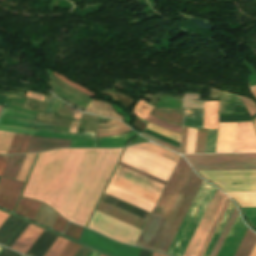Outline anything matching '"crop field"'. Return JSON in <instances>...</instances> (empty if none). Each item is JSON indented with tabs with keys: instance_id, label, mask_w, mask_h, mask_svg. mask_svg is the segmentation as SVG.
I'll return each instance as SVG.
<instances>
[{
	"instance_id": "55",
	"label": "crop field",
	"mask_w": 256,
	"mask_h": 256,
	"mask_svg": "<svg viewBox=\"0 0 256 256\" xmlns=\"http://www.w3.org/2000/svg\"><path fill=\"white\" fill-rule=\"evenodd\" d=\"M29 224L28 223H26V224H24L20 229H19V231L15 234V236L12 238V240L8 243V245H7V247H11L12 246V244L17 240V238L22 234V232L27 228V226H28Z\"/></svg>"
},
{
	"instance_id": "29",
	"label": "crop field",
	"mask_w": 256,
	"mask_h": 256,
	"mask_svg": "<svg viewBox=\"0 0 256 256\" xmlns=\"http://www.w3.org/2000/svg\"><path fill=\"white\" fill-rule=\"evenodd\" d=\"M26 155L11 156L2 176L15 179Z\"/></svg>"
},
{
	"instance_id": "3",
	"label": "crop field",
	"mask_w": 256,
	"mask_h": 256,
	"mask_svg": "<svg viewBox=\"0 0 256 256\" xmlns=\"http://www.w3.org/2000/svg\"><path fill=\"white\" fill-rule=\"evenodd\" d=\"M114 173L121 177H124L130 181H133L141 186H144L150 190H153L159 194H161V192L164 188V185L157 183L151 179H148L144 176H141V175H139L135 172H132L128 169H125L119 165L117 166ZM115 174H113V176L109 182L110 184L156 203V201L159 197V194H157L153 191H150L144 187H141L133 182H130L124 178H121ZM110 184L108 185V187L105 191L106 193H108L114 197H117L125 202H128L138 208H141L149 213L151 212V210L154 206V203L147 201L143 198H140L136 195H133L131 193H128L124 190H121L117 187H114Z\"/></svg>"
},
{
	"instance_id": "5",
	"label": "crop field",
	"mask_w": 256,
	"mask_h": 256,
	"mask_svg": "<svg viewBox=\"0 0 256 256\" xmlns=\"http://www.w3.org/2000/svg\"><path fill=\"white\" fill-rule=\"evenodd\" d=\"M195 171L256 170V153L183 155Z\"/></svg>"
},
{
	"instance_id": "21",
	"label": "crop field",
	"mask_w": 256,
	"mask_h": 256,
	"mask_svg": "<svg viewBox=\"0 0 256 256\" xmlns=\"http://www.w3.org/2000/svg\"><path fill=\"white\" fill-rule=\"evenodd\" d=\"M57 216L58 214L49 206L41 203L33 220L44 226L52 228Z\"/></svg>"
},
{
	"instance_id": "9",
	"label": "crop field",
	"mask_w": 256,
	"mask_h": 256,
	"mask_svg": "<svg viewBox=\"0 0 256 256\" xmlns=\"http://www.w3.org/2000/svg\"><path fill=\"white\" fill-rule=\"evenodd\" d=\"M190 169L188 164L180 157L153 214L167 217Z\"/></svg>"
},
{
	"instance_id": "41",
	"label": "crop field",
	"mask_w": 256,
	"mask_h": 256,
	"mask_svg": "<svg viewBox=\"0 0 256 256\" xmlns=\"http://www.w3.org/2000/svg\"><path fill=\"white\" fill-rule=\"evenodd\" d=\"M147 129L152 130L154 132H157L159 134H162L164 136H167L169 138H172V139L177 140V141L180 142V135L176 134L174 132H171V131H169L167 129H164V128H161L159 126H156V125H153V124H149V123H148Z\"/></svg>"
},
{
	"instance_id": "11",
	"label": "crop field",
	"mask_w": 256,
	"mask_h": 256,
	"mask_svg": "<svg viewBox=\"0 0 256 256\" xmlns=\"http://www.w3.org/2000/svg\"><path fill=\"white\" fill-rule=\"evenodd\" d=\"M81 241L115 256H138L141 250L139 248L119 244L87 229H85Z\"/></svg>"
},
{
	"instance_id": "4",
	"label": "crop field",
	"mask_w": 256,
	"mask_h": 256,
	"mask_svg": "<svg viewBox=\"0 0 256 256\" xmlns=\"http://www.w3.org/2000/svg\"><path fill=\"white\" fill-rule=\"evenodd\" d=\"M212 185L203 181L192 205L190 206L180 228L178 229L167 254L182 256L197 224L199 223L214 191Z\"/></svg>"
},
{
	"instance_id": "47",
	"label": "crop field",
	"mask_w": 256,
	"mask_h": 256,
	"mask_svg": "<svg viewBox=\"0 0 256 256\" xmlns=\"http://www.w3.org/2000/svg\"><path fill=\"white\" fill-rule=\"evenodd\" d=\"M52 73H53V75H54L55 77H57L59 80L63 81L64 83H66V84H68V85H70V86H72V87H74V88L80 90L81 92H83V93H85V94L94 96V93H92V92H90L89 90L83 88L82 86H79V85L75 84L74 82L67 80L65 77H63V76H61V75H59V74H57V73H55V72H53V71H52Z\"/></svg>"
},
{
	"instance_id": "22",
	"label": "crop field",
	"mask_w": 256,
	"mask_h": 256,
	"mask_svg": "<svg viewBox=\"0 0 256 256\" xmlns=\"http://www.w3.org/2000/svg\"><path fill=\"white\" fill-rule=\"evenodd\" d=\"M86 111H88L90 113L102 115V116L116 118V119H119V120L123 119V117H120L118 114H116L114 112V110L112 109L111 104L101 102V101H98V100H94V99H92V101L90 102Z\"/></svg>"
},
{
	"instance_id": "1",
	"label": "crop field",
	"mask_w": 256,
	"mask_h": 256,
	"mask_svg": "<svg viewBox=\"0 0 256 256\" xmlns=\"http://www.w3.org/2000/svg\"><path fill=\"white\" fill-rule=\"evenodd\" d=\"M123 149H58L40 153L22 196L51 205L85 226Z\"/></svg>"
},
{
	"instance_id": "51",
	"label": "crop field",
	"mask_w": 256,
	"mask_h": 256,
	"mask_svg": "<svg viewBox=\"0 0 256 256\" xmlns=\"http://www.w3.org/2000/svg\"><path fill=\"white\" fill-rule=\"evenodd\" d=\"M1 115H5V116H13V117H20V118H25V119H35L36 116L34 115H29V114H25V113H20V112H16L7 108H3V111L1 113Z\"/></svg>"
},
{
	"instance_id": "13",
	"label": "crop field",
	"mask_w": 256,
	"mask_h": 256,
	"mask_svg": "<svg viewBox=\"0 0 256 256\" xmlns=\"http://www.w3.org/2000/svg\"><path fill=\"white\" fill-rule=\"evenodd\" d=\"M25 183L0 179V207L13 211Z\"/></svg>"
},
{
	"instance_id": "24",
	"label": "crop field",
	"mask_w": 256,
	"mask_h": 256,
	"mask_svg": "<svg viewBox=\"0 0 256 256\" xmlns=\"http://www.w3.org/2000/svg\"><path fill=\"white\" fill-rule=\"evenodd\" d=\"M136 136L134 132H130L117 137L98 138V147H122L129 138Z\"/></svg>"
},
{
	"instance_id": "48",
	"label": "crop field",
	"mask_w": 256,
	"mask_h": 256,
	"mask_svg": "<svg viewBox=\"0 0 256 256\" xmlns=\"http://www.w3.org/2000/svg\"><path fill=\"white\" fill-rule=\"evenodd\" d=\"M0 131L18 132V133H24V134H30V135L35 134V130H32V129L17 128V127H11V126H3V125H0Z\"/></svg>"
},
{
	"instance_id": "42",
	"label": "crop field",
	"mask_w": 256,
	"mask_h": 256,
	"mask_svg": "<svg viewBox=\"0 0 256 256\" xmlns=\"http://www.w3.org/2000/svg\"><path fill=\"white\" fill-rule=\"evenodd\" d=\"M207 130H197L195 153H204Z\"/></svg>"
},
{
	"instance_id": "35",
	"label": "crop field",
	"mask_w": 256,
	"mask_h": 256,
	"mask_svg": "<svg viewBox=\"0 0 256 256\" xmlns=\"http://www.w3.org/2000/svg\"><path fill=\"white\" fill-rule=\"evenodd\" d=\"M146 121L150 122V123H154L157 124L159 126H162L164 128H167L169 130L175 131L177 133L181 134V126L180 125H176L170 122H167L165 120H162L158 117H155L151 114H149V116L146 118Z\"/></svg>"
},
{
	"instance_id": "10",
	"label": "crop field",
	"mask_w": 256,
	"mask_h": 256,
	"mask_svg": "<svg viewBox=\"0 0 256 256\" xmlns=\"http://www.w3.org/2000/svg\"><path fill=\"white\" fill-rule=\"evenodd\" d=\"M225 195L217 189L184 253L183 256H195L202 241L204 240L214 218L216 217L224 199Z\"/></svg>"
},
{
	"instance_id": "65",
	"label": "crop field",
	"mask_w": 256,
	"mask_h": 256,
	"mask_svg": "<svg viewBox=\"0 0 256 256\" xmlns=\"http://www.w3.org/2000/svg\"><path fill=\"white\" fill-rule=\"evenodd\" d=\"M152 256H167V255H163V254H159V253L153 252Z\"/></svg>"
},
{
	"instance_id": "68",
	"label": "crop field",
	"mask_w": 256,
	"mask_h": 256,
	"mask_svg": "<svg viewBox=\"0 0 256 256\" xmlns=\"http://www.w3.org/2000/svg\"><path fill=\"white\" fill-rule=\"evenodd\" d=\"M2 106H0V109H1Z\"/></svg>"
},
{
	"instance_id": "62",
	"label": "crop field",
	"mask_w": 256,
	"mask_h": 256,
	"mask_svg": "<svg viewBox=\"0 0 256 256\" xmlns=\"http://www.w3.org/2000/svg\"><path fill=\"white\" fill-rule=\"evenodd\" d=\"M9 215V214H8ZM8 215L0 212V226L1 224L6 220V218L8 217Z\"/></svg>"
},
{
	"instance_id": "70",
	"label": "crop field",
	"mask_w": 256,
	"mask_h": 256,
	"mask_svg": "<svg viewBox=\"0 0 256 256\" xmlns=\"http://www.w3.org/2000/svg\"><path fill=\"white\" fill-rule=\"evenodd\" d=\"M101 256H103V255H101Z\"/></svg>"
},
{
	"instance_id": "44",
	"label": "crop field",
	"mask_w": 256,
	"mask_h": 256,
	"mask_svg": "<svg viewBox=\"0 0 256 256\" xmlns=\"http://www.w3.org/2000/svg\"><path fill=\"white\" fill-rule=\"evenodd\" d=\"M34 121H21L12 118L0 117V124L32 127Z\"/></svg>"
},
{
	"instance_id": "52",
	"label": "crop field",
	"mask_w": 256,
	"mask_h": 256,
	"mask_svg": "<svg viewBox=\"0 0 256 256\" xmlns=\"http://www.w3.org/2000/svg\"><path fill=\"white\" fill-rule=\"evenodd\" d=\"M241 99H242V101L244 102V104H245V106H246L248 112L250 113L251 117H252L253 115H255V114H256V104L253 103L252 101H250V100L244 98V97H241Z\"/></svg>"
},
{
	"instance_id": "33",
	"label": "crop field",
	"mask_w": 256,
	"mask_h": 256,
	"mask_svg": "<svg viewBox=\"0 0 256 256\" xmlns=\"http://www.w3.org/2000/svg\"><path fill=\"white\" fill-rule=\"evenodd\" d=\"M138 146L143 147V148H145L147 150H150V151H152L154 153H157V154H159L161 156H164V157H166L168 159H171V160H173L175 162L177 161V159L179 157L178 155H176L177 153L174 154V153H172V152H170V151H168V150H166V149H164V148H162L160 146L153 145V144H150V143H143V144H139Z\"/></svg>"
},
{
	"instance_id": "16",
	"label": "crop field",
	"mask_w": 256,
	"mask_h": 256,
	"mask_svg": "<svg viewBox=\"0 0 256 256\" xmlns=\"http://www.w3.org/2000/svg\"><path fill=\"white\" fill-rule=\"evenodd\" d=\"M97 211L101 212V213H104L110 217H113L117 220H120L124 223H127L131 226H134L138 229H142L144 223H145V220L141 219V218H138L132 214H129L125 211H122L118 208H115L109 204H106L102 201H100L97 209Z\"/></svg>"
},
{
	"instance_id": "69",
	"label": "crop field",
	"mask_w": 256,
	"mask_h": 256,
	"mask_svg": "<svg viewBox=\"0 0 256 256\" xmlns=\"http://www.w3.org/2000/svg\"><path fill=\"white\" fill-rule=\"evenodd\" d=\"M2 247V246H1ZM1 247H0V249H1Z\"/></svg>"
},
{
	"instance_id": "36",
	"label": "crop field",
	"mask_w": 256,
	"mask_h": 256,
	"mask_svg": "<svg viewBox=\"0 0 256 256\" xmlns=\"http://www.w3.org/2000/svg\"><path fill=\"white\" fill-rule=\"evenodd\" d=\"M67 243L68 240L58 236L44 256H58Z\"/></svg>"
},
{
	"instance_id": "19",
	"label": "crop field",
	"mask_w": 256,
	"mask_h": 256,
	"mask_svg": "<svg viewBox=\"0 0 256 256\" xmlns=\"http://www.w3.org/2000/svg\"><path fill=\"white\" fill-rule=\"evenodd\" d=\"M71 140H58L34 137L28 152L40 151L58 147H68Z\"/></svg>"
},
{
	"instance_id": "32",
	"label": "crop field",
	"mask_w": 256,
	"mask_h": 256,
	"mask_svg": "<svg viewBox=\"0 0 256 256\" xmlns=\"http://www.w3.org/2000/svg\"><path fill=\"white\" fill-rule=\"evenodd\" d=\"M235 199L241 207H256V192L254 193H227Z\"/></svg>"
},
{
	"instance_id": "20",
	"label": "crop field",
	"mask_w": 256,
	"mask_h": 256,
	"mask_svg": "<svg viewBox=\"0 0 256 256\" xmlns=\"http://www.w3.org/2000/svg\"><path fill=\"white\" fill-rule=\"evenodd\" d=\"M217 112V101H204V128L216 129L218 127Z\"/></svg>"
},
{
	"instance_id": "49",
	"label": "crop field",
	"mask_w": 256,
	"mask_h": 256,
	"mask_svg": "<svg viewBox=\"0 0 256 256\" xmlns=\"http://www.w3.org/2000/svg\"><path fill=\"white\" fill-rule=\"evenodd\" d=\"M196 129L189 128L186 153H194Z\"/></svg>"
},
{
	"instance_id": "40",
	"label": "crop field",
	"mask_w": 256,
	"mask_h": 256,
	"mask_svg": "<svg viewBox=\"0 0 256 256\" xmlns=\"http://www.w3.org/2000/svg\"><path fill=\"white\" fill-rule=\"evenodd\" d=\"M218 130H208L205 153L215 152Z\"/></svg>"
},
{
	"instance_id": "60",
	"label": "crop field",
	"mask_w": 256,
	"mask_h": 256,
	"mask_svg": "<svg viewBox=\"0 0 256 256\" xmlns=\"http://www.w3.org/2000/svg\"><path fill=\"white\" fill-rule=\"evenodd\" d=\"M91 250L86 249L81 246V248L78 250V252L75 254V256H88L90 254Z\"/></svg>"
},
{
	"instance_id": "7",
	"label": "crop field",
	"mask_w": 256,
	"mask_h": 256,
	"mask_svg": "<svg viewBox=\"0 0 256 256\" xmlns=\"http://www.w3.org/2000/svg\"><path fill=\"white\" fill-rule=\"evenodd\" d=\"M225 192L256 191V171L198 172Z\"/></svg>"
},
{
	"instance_id": "31",
	"label": "crop field",
	"mask_w": 256,
	"mask_h": 256,
	"mask_svg": "<svg viewBox=\"0 0 256 256\" xmlns=\"http://www.w3.org/2000/svg\"><path fill=\"white\" fill-rule=\"evenodd\" d=\"M99 127H113V126H119L113 129H98L97 131H117V132H110V133H97L98 137H106V136H112L117 134H123L131 131L126 125H124L122 122L117 120H111L108 124H99Z\"/></svg>"
},
{
	"instance_id": "23",
	"label": "crop field",
	"mask_w": 256,
	"mask_h": 256,
	"mask_svg": "<svg viewBox=\"0 0 256 256\" xmlns=\"http://www.w3.org/2000/svg\"><path fill=\"white\" fill-rule=\"evenodd\" d=\"M22 223L24 222L15 217L9 216L0 227V243L4 245Z\"/></svg>"
},
{
	"instance_id": "30",
	"label": "crop field",
	"mask_w": 256,
	"mask_h": 256,
	"mask_svg": "<svg viewBox=\"0 0 256 256\" xmlns=\"http://www.w3.org/2000/svg\"><path fill=\"white\" fill-rule=\"evenodd\" d=\"M152 113L164 119H167L171 122H175L179 124H181L182 122V116H183L182 110L154 108Z\"/></svg>"
},
{
	"instance_id": "25",
	"label": "crop field",
	"mask_w": 256,
	"mask_h": 256,
	"mask_svg": "<svg viewBox=\"0 0 256 256\" xmlns=\"http://www.w3.org/2000/svg\"><path fill=\"white\" fill-rule=\"evenodd\" d=\"M40 203L21 198L15 213L33 219Z\"/></svg>"
},
{
	"instance_id": "57",
	"label": "crop field",
	"mask_w": 256,
	"mask_h": 256,
	"mask_svg": "<svg viewBox=\"0 0 256 256\" xmlns=\"http://www.w3.org/2000/svg\"><path fill=\"white\" fill-rule=\"evenodd\" d=\"M142 136H144V137H146V138H148V139H151V140H153V141H155V142H158V143H160V144H162V145H164V146H166V147H169V148H171V149H173V150H175V151H177L178 152V148H176V147H174V146H171V145H169V144H167V143H164V142H162V141H160V140H158V139H155V138H153V137H151V136H148V135H146V134H142ZM157 143V144H158Z\"/></svg>"
},
{
	"instance_id": "43",
	"label": "crop field",
	"mask_w": 256,
	"mask_h": 256,
	"mask_svg": "<svg viewBox=\"0 0 256 256\" xmlns=\"http://www.w3.org/2000/svg\"><path fill=\"white\" fill-rule=\"evenodd\" d=\"M99 93L110 95V96H112L113 100L119 101L129 108L135 102L129 96H126V95L115 94V93H111V92H107V91H103V90H100Z\"/></svg>"
},
{
	"instance_id": "28",
	"label": "crop field",
	"mask_w": 256,
	"mask_h": 256,
	"mask_svg": "<svg viewBox=\"0 0 256 256\" xmlns=\"http://www.w3.org/2000/svg\"><path fill=\"white\" fill-rule=\"evenodd\" d=\"M31 137L15 134L7 153H25Z\"/></svg>"
},
{
	"instance_id": "53",
	"label": "crop field",
	"mask_w": 256,
	"mask_h": 256,
	"mask_svg": "<svg viewBox=\"0 0 256 256\" xmlns=\"http://www.w3.org/2000/svg\"><path fill=\"white\" fill-rule=\"evenodd\" d=\"M119 165H121V166H123V167H126V168H128V169H130V170H132V171H135V172H137V173H139V174H142V175H144V176H146V177H148V178H151V179H153V180H155V181H158V182H160V183H162V184H164L165 185V181H163V180H161V179H158V178H156V177H154V176H151V175H149V174H147V173H144V172H142V171H139V170H137V169H135V168H132V167H130V166H128V165H125V164H123V163H121V162H119Z\"/></svg>"
},
{
	"instance_id": "54",
	"label": "crop field",
	"mask_w": 256,
	"mask_h": 256,
	"mask_svg": "<svg viewBox=\"0 0 256 256\" xmlns=\"http://www.w3.org/2000/svg\"><path fill=\"white\" fill-rule=\"evenodd\" d=\"M66 225H67V222L64 219H62L60 216H58L53 228L63 233Z\"/></svg>"
},
{
	"instance_id": "37",
	"label": "crop field",
	"mask_w": 256,
	"mask_h": 256,
	"mask_svg": "<svg viewBox=\"0 0 256 256\" xmlns=\"http://www.w3.org/2000/svg\"><path fill=\"white\" fill-rule=\"evenodd\" d=\"M35 156H36V154H31V155L26 156V158L23 162V165L20 169V172H19L16 179L23 180V181L26 180L27 174H28V172L31 168V165H32V162H33Z\"/></svg>"
},
{
	"instance_id": "64",
	"label": "crop field",
	"mask_w": 256,
	"mask_h": 256,
	"mask_svg": "<svg viewBox=\"0 0 256 256\" xmlns=\"http://www.w3.org/2000/svg\"><path fill=\"white\" fill-rule=\"evenodd\" d=\"M101 254L97 253V252H94L92 251L91 254L89 256H100Z\"/></svg>"
},
{
	"instance_id": "39",
	"label": "crop field",
	"mask_w": 256,
	"mask_h": 256,
	"mask_svg": "<svg viewBox=\"0 0 256 256\" xmlns=\"http://www.w3.org/2000/svg\"><path fill=\"white\" fill-rule=\"evenodd\" d=\"M143 106H145V108H143ZM152 108V106L148 105L146 102L141 100L136 104L133 111L138 117L145 120V118L148 116Z\"/></svg>"
},
{
	"instance_id": "6",
	"label": "crop field",
	"mask_w": 256,
	"mask_h": 256,
	"mask_svg": "<svg viewBox=\"0 0 256 256\" xmlns=\"http://www.w3.org/2000/svg\"><path fill=\"white\" fill-rule=\"evenodd\" d=\"M121 162L161 178L165 181H167L175 165V162L140 148L136 145L130 146L126 149Z\"/></svg>"
},
{
	"instance_id": "26",
	"label": "crop field",
	"mask_w": 256,
	"mask_h": 256,
	"mask_svg": "<svg viewBox=\"0 0 256 256\" xmlns=\"http://www.w3.org/2000/svg\"><path fill=\"white\" fill-rule=\"evenodd\" d=\"M230 201L231 200L226 197V199H225V201H224V203H223V205H222V207H221V209H220V211H219V213H218V215H217V217H216L212 227L210 228V230H209V232H208V234H207V236H206V238H205V240H204V242H203V244H202V246H201V248L198 251L196 256H202L203 255V253H204V251H205V249H206V247H207V245H208V243H209V241H210V239H211L215 229L217 228V226H218V224H219L223 214L225 213V211H226Z\"/></svg>"
},
{
	"instance_id": "18",
	"label": "crop field",
	"mask_w": 256,
	"mask_h": 256,
	"mask_svg": "<svg viewBox=\"0 0 256 256\" xmlns=\"http://www.w3.org/2000/svg\"><path fill=\"white\" fill-rule=\"evenodd\" d=\"M43 229L33 225H29L18 240L13 244L11 249L25 254L38 236L42 233Z\"/></svg>"
},
{
	"instance_id": "66",
	"label": "crop field",
	"mask_w": 256,
	"mask_h": 256,
	"mask_svg": "<svg viewBox=\"0 0 256 256\" xmlns=\"http://www.w3.org/2000/svg\"><path fill=\"white\" fill-rule=\"evenodd\" d=\"M251 89L253 91V94L256 95V86H252Z\"/></svg>"
},
{
	"instance_id": "45",
	"label": "crop field",
	"mask_w": 256,
	"mask_h": 256,
	"mask_svg": "<svg viewBox=\"0 0 256 256\" xmlns=\"http://www.w3.org/2000/svg\"><path fill=\"white\" fill-rule=\"evenodd\" d=\"M14 134L0 132V153H6Z\"/></svg>"
},
{
	"instance_id": "58",
	"label": "crop field",
	"mask_w": 256,
	"mask_h": 256,
	"mask_svg": "<svg viewBox=\"0 0 256 256\" xmlns=\"http://www.w3.org/2000/svg\"><path fill=\"white\" fill-rule=\"evenodd\" d=\"M10 156H0V176L2 175L4 168Z\"/></svg>"
},
{
	"instance_id": "50",
	"label": "crop field",
	"mask_w": 256,
	"mask_h": 256,
	"mask_svg": "<svg viewBox=\"0 0 256 256\" xmlns=\"http://www.w3.org/2000/svg\"><path fill=\"white\" fill-rule=\"evenodd\" d=\"M79 248L80 245L69 241V243L66 245V247L59 256H74V254L77 252Z\"/></svg>"
},
{
	"instance_id": "46",
	"label": "crop field",
	"mask_w": 256,
	"mask_h": 256,
	"mask_svg": "<svg viewBox=\"0 0 256 256\" xmlns=\"http://www.w3.org/2000/svg\"><path fill=\"white\" fill-rule=\"evenodd\" d=\"M82 230H83L82 227H78V226H75V225L69 223L64 234L79 241L80 234H81Z\"/></svg>"
},
{
	"instance_id": "8",
	"label": "crop field",
	"mask_w": 256,
	"mask_h": 256,
	"mask_svg": "<svg viewBox=\"0 0 256 256\" xmlns=\"http://www.w3.org/2000/svg\"><path fill=\"white\" fill-rule=\"evenodd\" d=\"M134 227V226H133ZM95 211L88 228L109 238L134 245L140 230Z\"/></svg>"
},
{
	"instance_id": "17",
	"label": "crop field",
	"mask_w": 256,
	"mask_h": 256,
	"mask_svg": "<svg viewBox=\"0 0 256 256\" xmlns=\"http://www.w3.org/2000/svg\"><path fill=\"white\" fill-rule=\"evenodd\" d=\"M236 122L219 123L216 152H233Z\"/></svg>"
},
{
	"instance_id": "34",
	"label": "crop field",
	"mask_w": 256,
	"mask_h": 256,
	"mask_svg": "<svg viewBox=\"0 0 256 256\" xmlns=\"http://www.w3.org/2000/svg\"><path fill=\"white\" fill-rule=\"evenodd\" d=\"M233 206H234V204H233L232 201H231V203H230V205H229V207H228V209H227V211H226V213H225V215H224L222 221L220 222V224H219V226H218V228H217V230H216V232H215V234H214V236H213L211 242L209 243V245H208V247H207V249H206V251H205V253H204L203 256H209V254H210V252H211V250H212V248H213V246H214V244H215V242H216V240H217V238H218V236H219V234H220V232H221V230H222V228H223V226H224V224H225V222H226V220H227V218H228V216H229V214H230V212H231V210H232V208H233ZM234 207H235V206H234ZM233 209H234V208H233ZM232 211H233V210H232ZM231 213H232V212H231ZM230 215H231V214H230ZM229 217H230V216H229ZM228 219H229V218H228Z\"/></svg>"
},
{
	"instance_id": "38",
	"label": "crop field",
	"mask_w": 256,
	"mask_h": 256,
	"mask_svg": "<svg viewBox=\"0 0 256 256\" xmlns=\"http://www.w3.org/2000/svg\"><path fill=\"white\" fill-rule=\"evenodd\" d=\"M226 112H233V107L243 106L239 96L225 92Z\"/></svg>"
},
{
	"instance_id": "15",
	"label": "crop field",
	"mask_w": 256,
	"mask_h": 256,
	"mask_svg": "<svg viewBox=\"0 0 256 256\" xmlns=\"http://www.w3.org/2000/svg\"><path fill=\"white\" fill-rule=\"evenodd\" d=\"M36 135L72 139L69 147H96L94 133L84 132V134H64L53 132V130L37 129Z\"/></svg>"
},
{
	"instance_id": "27",
	"label": "crop field",
	"mask_w": 256,
	"mask_h": 256,
	"mask_svg": "<svg viewBox=\"0 0 256 256\" xmlns=\"http://www.w3.org/2000/svg\"><path fill=\"white\" fill-rule=\"evenodd\" d=\"M255 241L256 235L252 231L247 229L234 256H248Z\"/></svg>"
},
{
	"instance_id": "2",
	"label": "crop field",
	"mask_w": 256,
	"mask_h": 256,
	"mask_svg": "<svg viewBox=\"0 0 256 256\" xmlns=\"http://www.w3.org/2000/svg\"><path fill=\"white\" fill-rule=\"evenodd\" d=\"M202 181L191 169L168 217L152 214L137 246L166 253Z\"/></svg>"
},
{
	"instance_id": "61",
	"label": "crop field",
	"mask_w": 256,
	"mask_h": 256,
	"mask_svg": "<svg viewBox=\"0 0 256 256\" xmlns=\"http://www.w3.org/2000/svg\"><path fill=\"white\" fill-rule=\"evenodd\" d=\"M131 113V112H130ZM132 114V113H131ZM133 115V114H132ZM134 116V115H133ZM135 117V116H134ZM135 119H136V121H135V123L133 124L134 126H135V128L136 129H138V130H140V131H142L145 127H146V125L143 123V122H141L139 119H137L136 117H135Z\"/></svg>"
},
{
	"instance_id": "14",
	"label": "crop field",
	"mask_w": 256,
	"mask_h": 256,
	"mask_svg": "<svg viewBox=\"0 0 256 256\" xmlns=\"http://www.w3.org/2000/svg\"><path fill=\"white\" fill-rule=\"evenodd\" d=\"M246 229L238 215L217 256H233Z\"/></svg>"
},
{
	"instance_id": "56",
	"label": "crop field",
	"mask_w": 256,
	"mask_h": 256,
	"mask_svg": "<svg viewBox=\"0 0 256 256\" xmlns=\"http://www.w3.org/2000/svg\"><path fill=\"white\" fill-rule=\"evenodd\" d=\"M188 128L183 127L181 153H185Z\"/></svg>"
},
{
	"instance_id": "12",
	"label": "crop field",
	"mask_w": 256,
	"mask_h": 256,
	"mask_svg": "<svg viewBox=\"0 0 256 256\" xmlns=\"http://www.w3.org/2000/svg\"><path fill=\"white\" fill-rule=\"evenodd\" d=\"M256 151V133L252 121L237 122L234 152Z\"/></svg>"
},
{
	"instance_id": "59",
	"label": "crop field",
	"mask_w": 256,
	"mask_h": 256,
	"mask_svg": "<svg viewBox=\"0 0 256 256\" xmlns=\"http://www.w3.org/2000/svg\"><path fill=\"white\" fill-rule=\"evenodd\" d=\"M27 97L33 98V99H37V100H41L43 101L45 98V95H41V94H37V93H33V92H29L26 94Z\"/></svg>"
},
{
	"instance_id": "63",
	"label": "crop field",
	"mask_w": 256,
	"mask_h": 256,
	"mask_svg": "<svg viewBox=\"0 0 256 256\" xmlns=\"http://www.w3.org/2000/svg\"><path fill=\"white\" fill-rule=\"evenodd\" d=\"M250 256H256V244H255Z\"/></svg>"
},
{
	"instance_id": "67",
	"label": "crop field",
	"mask_w": 256,
	"mask_h": 256,
	"mask_svg": "<svg viewBox=\"0 0 256 256\" xmlns=\"http://www.w3.org/2000/svg\"><path fill=\"white\" fill-rule=\"evenodd\" d=\"M223 112H225L224 92H223Z\"/></svg>"
}]
</instances>
